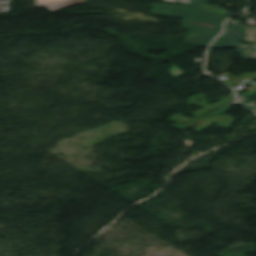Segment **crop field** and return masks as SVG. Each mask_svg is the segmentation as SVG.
Here are the masks:
<instances>
[{
    "label": "crop field",
    "instance_id": "6",
    "mask_svg": "<svg viewBox=\"0 0 256 256\" xmlns=\"http://www.w3.org/2000/svg\"><path fill=\"white\" fill-rule=\"evenodd\" d=\"M249 92L247 94L251 95L253 93H256V86H251L249 88H246Z\"/></svg>",
    "mask_w": 256,
    "mask_h": 256
},
{
    "label": "crop field",
    "instance_id": "4",
    "mask_svg": "<svg viewBox=\"0 0 256 256\" xmlns=\"http://www.w3.org/2000/svg\"><path fill=\"white\" fill-rule=\"evenodd\" d=\"M216 36L210 33L191 32L186 37V42L195 46H208Z\"/></svg>",
    "mask_w": 256,
    "mask_h": 256
},
{
    "label": "crop field",
    "instance_id": "7",
    "mask_svg": "<svg viewBox=\"0 0 256 256\" xmlns=\"http://www.w3.org/2000/svg\"><path fill=\"white\" fill-rule=\"evenodd\" d=\"M253 16V15H252ZM253 17H255V16H253ZM256 18V17H255ZM255 40H256V38H255Z\"/></svg>",
    "mask_w": 256,
    "mask_h": 256
},
{
    "label": "crop field",
    "instance_id": "2",
    "mask_svg": "<svg viewBox=\"0 0 256 256\" xmlns=\"http://www.w3.org/2000/svg\"><path fill=\"white\" fill-rule=\"evenodd\" d=\"M220 47L236 48L244 59L256 60V46L241 44L234 36H225L222 41L216 42L211 48Z\"/></svg>",
    "mask_w": 256,
    "mask_h": 256
},
{
    "label": "crop field",
    "instance_id": "1",
    "mask_svg": "<svg viewBox=\"0 0 256 256\" xmlns=\"http://www.w3.org/2000/svg\"><path fill=\"white\" fill-rule=\"evenodd\" d=\"M168 2L184 3L183 7L152 4L153 15L183 17V25L188 29L220 33L222 22L231 16L220 9L200 5L210 0H163Z\"/></svg>",
    "mask_w": 256,
    "mask_h": 256
},
{
    "label": "crop field",
    "instance_id": "5",
    "mask_svg": "<svg viewBox=\"0 0 256 256\" xmlns=\"http://www.w3.org/2000/svg\"><path fill=\"white\" fill-rule=\"evenodd\" d=\"M38 7L45 5L51 11L70 6L73 4L81 3L85 0H36Z\"/></svg>",
    "mask_w": 256,
    "mask_h": 256
},
{
    "label": "crop field",
    "instance_id": "3",
    "mask_svg": "<svg viewBox=\"0 0 256 256\" xmlns=\"http://www.w3.org/2000/svg\"><path fill=\"white\" fill-rule=\"evenodd\" d=\"M225 34H235L244 42H251L255 35V30L245 28L241 22L237 20H229L226 24Z\"/></svg>",
    "mask_w": 256,
    "mask_h": 256
}]
</instances>
